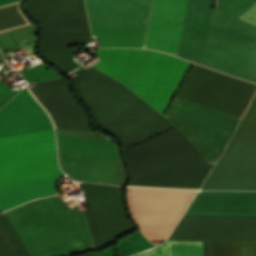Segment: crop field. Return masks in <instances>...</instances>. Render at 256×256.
<instances>
[{
    "mask_svg": "<svg viewBox=\"0 0 256 256\" xmlns=\"http://www.w3.org/2000/svg\"><path fill=\"white\" fill-rule=\"evenodd\" d=\"M196 191L128 188L131 216L148 240L165 239Z\"/></svg>",
    "mask_w": 256,
    "mask_h": 256,
    "instance_id": "d1516ede",
    "label": "crop field"
},
{
    "mask_svg": "<svg viewBox=\"0 0 256 256\" xmlns=\"http://www.w3.org/2000/svg\"><path fill=\"white\" fill-rule=\"evenodd\" d=\"M184 216L256 217V192L200 191ZM182 217L165 242H256V218ZM133 256H200V243H162ZM201 256H256V243H201Z\"/></svg>",
    "mask_w": 256,
    "mask_h": 256,
    "instance_id": "ac0d7876",
    "label": "crop field"
},
{
    "mask_svg": "<svg viewBox=\"0 0 256 256\" xmlns=\"http://www.w3.org/2000/svg\"><path fill=\"white\" fill-rule=\"evenodd\" d=\"M212 0H153L146 48L256 82V26L217 9Z\"/></svg>",
    "mask_w": 256,
    "mask_h": 256,
    "instance_id": "8a807250",
    "label": "crop field"
},
{
    "mask_svg": "<svg viewBox=\"0 0 256 256\" xmlns=\"http://www.w3.org/2000/svg\"><path fill=\"white\" fill-rule=\"evenodd\" d=\"M163 117L179 129L204 160L213 164L239 121L238 118L176 98Z\"/></svg>",
    "mask_w": 256,
    "mask_h": 256,
    "instance_id": "3316defc",
    "label": "crop field"
},
{
    "mask_svg": "<svg viewBox=\"0 0 256 256\" xmlns=\"http://www.w3.org/2000/svg\"><path fill=\"white\" fill-rule=\"evenodd\" d=\"M59 165L73 180L120 184L126 172L115 143L103 133L55 129Z\"/></svg>",
    "mask_w": 256,
    "mask_h": 256,
    "instance_id": "e52e79f7",
    "label": "crop field"
},
{
    "mask_svg": "<svg viewBox=\"0 0 256 256\" xmlns=\"http://www.w3.org/2000/svg\"><path fill=\"white\" fill-rule=\"evenodd\" d=\"M21 1L0 7V32L30 25L19 9Z\"/></svg>",
    "mask_w": 256,
    "mask_h": 256,
    "instance_id": "d9b57169",
    "label": "crop field"
},
{
    "mask_svg": "<svg viewBox=\"0 0 256 256\" xmlns=\"http://www.w3.org/2000/svg\"><path fill=\"white\" fill-rule=\"evenodd\" d=\"M93 67L120 81L161 115L190 62L142 49H97Z\"/></svg>",
    "mask_w": 256,
    "mask_h": 256,
    "instance_id": "dd49c442",
    "label": "crop field"
},
{
    "mask_svg": "<svg viewBox=\"0 0 256 256\" xmlns=\"http://www.w3.org/2000/svg\"><path fill=\"white\" fill-rule=\"evenodd\" d=\"M130 186L199 189L210 171L176 127L124 151Z\"/></svg>",
    "mask_w": 256,
    "mask_h": 256,
    "instance_id": "f4fd0767",
    "label": "crop field"
},
{
    "mask_svg": "<svg viewBox=\"0 0 256 256\" xmlns=\"http://www.w3.org/2000/svg\"><path fill=\"white\" fill-rule=\"evenodd\" d=\"M70 80L98 127L114 136L122 150L173 127L126 87L91 67Z\"/></svg>",
    "mask_w": 256,
    "mask_h": 256,
    "instance_id": "412701ff",
    "label": "crop field"
},
{
    "mask_svg": "<svg viewBox=\"0 0 256 256\" xmlns=\"http://www.w3.org/2000/svg\"><path fill=\"white\" fill-rule=\"evenodd\" d=\"M255 85L192 64L176 97L240 117Z\"/></svg>",
    "mask_w": 256,
    "mask_h": 256,
    "instance_id": "28ad6ade",
    "label": "crop field"
},
{
    "mask_svg": "<svg viewBox=\"0 0 256 256\" xmlns=\"http://www.w3.org/2000/svg\"><path fill=\"white\" fill-rule=\"evenodd\" d=\"M54 195L3 212L27 256H62L93 247L79 209ZM0 213V256H26Z\"/></svg>",
    "mask_w": 256,
    "mask_h": 256,
    "instance_id": "34b2d1b8",
    "label": "crop field"
},
{
    "mask_svg": "<svg viewBox=\"0 0 256 256\" xmlns=\"http://www.w3.org/2000/svg\"><path fill=\"white\" fill-rule=\"evenodd\" d=\"M61 175L53 129L0 138V184Z\"/></svg>",
    "mask_w": 256,
    "mask_h": 256,
    "instance_id": "d8731c3e",
    "label": "crop field"
},
{
    "mask_svg": "<svg viewBox=\"0 0 256 256\" xmlns=\"http://www.w3.org/2000/svg\"><path fill=\"white\" fill-rule=\"evenodd\" d=\"M255 2L256 0H217L216 8L239 18ZM240 18L256 25V3Z\"/></svg>",
    "mask_w": 256,
    "mask_h": 256,
    "instance_id": "5142ce71",
    "label": "crop field"
},
{
    "mask_svg": "<svg viewBox=\"0 0 256 256\" xmlns=\"http://www.w3.org/2000/svg\"><path fill=\"white\" fill-rule=\"evenodd\" d=\"M90 22H147L151 0H85Z\"/></svg>",
    "mask_w": 256,
    "mask_h": 256,
    "instance_id": "cbeb9de0",
    "label": "crop field"
},
{
    "mask_svg": "<svg viewBox=\"0 0 256 256\" xmlns=\"http://www.w3.org/2000/svg\"><path fill=\"white\" fill-rule=\"evenodd\" d=\"M201 189L256 190V95Z\"/></svg>",
    "mask_w": 256,
    "mask_h": 256,
    "instance_id": "5a996713",
    "label": "crop field"
},
{
    "mask_svg": "<svg viewBox=\"0 0 256 256\" xmlns=\"http://www.w3.org/2000/svg\"><path fill=\"white\" fill-rule=\"evenodd\" d=\"M50 128V120L26 88L0 109V137Z\"/></svg>",
    "mask_w": 256,
    "mask_h": 256,
    "instance_id": "22f410ed",
    "label": "crop field"
}]
</instances>
